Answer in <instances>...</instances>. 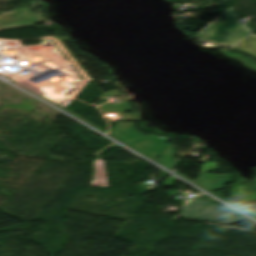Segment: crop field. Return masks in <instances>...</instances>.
Wrapping results in <instances>:
<instances>
[{"label":"crop field","mask_w":256,"mask_h":256,"mask_svg":"<svg viewBox=\"0 0 256 256\" xmlns=\"http://www.w3.org/2000/svg\"><path fill=\"white\" fill-rule=\"evenodd\" d=\"M248 31L239 23L233 10H227L220 18L196 37L218 43L224 46H233L240 41Z\"/></svg>","instance_id":"1"},{"label":"crop field","mask_w":256,"mask_h":256,"mask_svg":"<svg viewBox=\"0 0 256 256\" xmlns=\"http://www.w3.org/2000/svg\"><path fill=\"white\" fill-rule=\"evenodd\" d=\"M109 135L154 160L159 156L160 150L166 146L165 141L168 140L153 136L143 137L134 129L133 124L126 123H118Z\"/></svg>","instance_id":"2"},{"label":"crop field","mask_w":256,"mask_h":256,"mask_svg":"<svg viewBox=\"0 0 256 256\" xmlns=\"http://www.w3.org/2000/svg\"><path fill=\"white\" fill-rule=\"evenodd\" d=\"M222 209H225V211H222ZM233 215L236 214L216 203H213L200 208L195 219L216 222Z\"/></svg>","instance_id":"3"},{"label":"crop field","mask_w":256,"mask_h":256,"mask_svg":"<svg viewBox=\"0 0 256 256\" xmlns=\"http://www.w3.org/2000/svg\"><path fill=\"white\" fill-rule=\"evenodd\" d=\"M230 177L231 175L202 173L199 175L196 184L209 191L220 188L223 182L229 180Z\"/></svg>","instance_id":"4"},{"label":"crop field","mask_w":256,"mask_h":256,"mask_svg":"<svg viewBox=\"0 0 256 256\" xmlns=\"http://www.w3.org/2000/svg\"><path fill=\"white\" fill-rule=\"evenodd\" d=\"M175 152L174 143H170L169 146L163 150L162 156L158 158L157 161L172 170L180 163V161L173 160Z\"/></svg>","instance_id":"5"},{"label":"crop field","mask_w":256,"mask_h":256,"mask_svg":"<svg viewBox=\"0 0 256 256\" xmlns=\"http://www.w3.org/2000/svg\"><path fill=\"white\" fill-rule=\"evenodd\" d=\"M94 167H95V173H94L95 179L91 182L92 186L107 187L103 161L97 158L94 161Z\"/></svg>","instance_id":"6"},{"label":"crop field","mask_w":256,"mask_h":256,"mask_svg":"<svg viewBox=\"0 0 256 256\" xmlns=\"http://www.w3.org/2000/svg\"><path fill=\"white\" fill-rule=\"evenodd\" d=\"M206 204H209V203L202 201V200H193V201L189 202L188 204H186L181 215L183 217L194 219L198 209L201 206H204Z\"/></svg>","instance_id":"7"},{"label":"crop field","mask_w":256,"mask_h":256,"mask_svg":"<svg viewBox=\"0 0 256 256\" xmlns=\"http://www.w3.org/2000/svg\"><path fill=\"white\" fill-rule=\"evenodd\" d=\"M235 48L241 49L256 56V37L252 35L248 36Z\"/></svg>","instance_id":"8"},{"label":"crop field","mask_w":256,"mask_h":256,"mask_svg":"<svg viewBox=\"0 0 256 256\" xmlns=\"http://www.w3.org/2000/svg\"><path fill=\"white\" fill-rule=\"evenodd\" d=\"M242 220H245V219L243 217L237 215L235 217H232V218H229L227 220L221 221V222H219V224L231 225V224L237 223V222L242 221Z\"/></svg>","instance_id":"9"},{"label":"crop field","mask_w":256,"mask_h":256,"mask_svg":"<svg viewBox=\"0 0 256 256\" xmlns=\"http://www.w3.org/2000/svg\"><path fill=\"white\" fill-rule=\"evenodd\" d=\"M213 169H217L216 162L204 163L201 171H209Z\"/></svg>","instance_id":"10"},{"label":"crop field","mask_w":256,"mask_h":256,"mask_svg":"<svg viewBox=\"0 0 256 256\" xmlns=\"http://www.w3.org/2000/svg\"><path fill=\"white\" fill-rule=\"evenodd\" d=\"M176 179H174L173 177H169L163 184L164 186H169L172 187V185L174 184Z\"/></svg>","instance_id":"11"},{"label":"crop field","mask_w":256,"mask_h":256,"mask_svg":"<svg viewBox=\"0 0 256 256\" xmlns=\"http://www.w3.org/2000/svg\"><path fill=\"white\" fill-rule=\"evenodd\" d=\"M113 147H116V145L113 144L112 146H110V147L106 148L105 150L99 152V153H98V156L104 154L105 152H107L109 149H111V148H113Z\"/></svg>","instance_id":"12"},{"label":"crop field","mask_w":256,"mask_h":256,"mask_svg":"<svg viewBox=\"0 0 256 256\" xmlns=\"http://www.w3.org/2000/svg\"><path fill=\"white\" fill-rule=\"evenodd\" d=\"M218 18H219V17H218ZM218 18H217V19H218ZM217 19H216V20H217ZM214 21H215V20H214ZM214 21H213V22H214ZM213 22H212V23H213ZM212 23H210L209 25H211ZM209 25H208V26H209ZM208 26H206L203 30H205ZM203 30H202V31H203ZM202 31H200V33H201Z\"/></svg>","instance_id":"13"}]
</instances>
